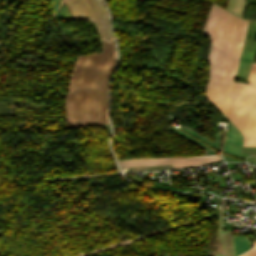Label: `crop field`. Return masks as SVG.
<instances>
[{"label": "crop field", "instance_id": "7", "mask_svg": "<svg viewBox=\"0 0 256 256\" xmlns=\"http://www.w3.org/2000/svg\"><path fill=\"white\" fill-rule=\"evenodd\" d=\"M240 256H256V244L252 250L240 255Z\"/></svg>", "mask_w": 256, "mask_h": 256}, {"label": "crop field", "instance_id": "1", "mask_svg": "<svg viewBox=\"0 0 256 256\" xmlns=\"http://www.w3.org/2000/svg\"><path fill=\"white\" fill-rule=\"evenodd\" d=\"M249 22L212 5L202 33L211 39L205 97L240 130L242 146H256V63L249 84L234 82Z\"/></svg>", "mask_w": 256, "mask_h": 256}, {"label": "crop field", "instance_id": "4", "mask_svg": "<svg viewBox=\"0 0 256 256\" xmlns=\"http://www.w3.org/2000/svg\"><path fill=\"white\" fill-rule=\"evenodd\" d=\"M120 167H134L173 163V168L204 165L221 161L219 155L190 156V157H148L117 160Z\"/></svg>", "mask_w": 256, "mask_h": 256}, {"label": "crop field", "instance_id": "5", "mask_svg": "<svg viewBox=\"0 0 256 256\" xmlns=\"http://www.w3.org/2000/svg\"><path fill=\"white\" fill-rule=\"evenodd\" d=\"M249 248H250V245L246 236L233 237V256H237L249 250Z\"/></svg>", "mask_w": 256, "mask_h": 256}, {"label": "crop field", "instance_id": "2", "mask_svg": "<svg viewBox=\"0 0 256 256\" xmlns=\"http://www.w3.org/2000/svg\"><path fill=\"white\" fill-rule=\"evenodd\" d=\"M102 43L104 53L80 56L73 68L65 102L68 126L108 123L107 81L116 51L114 45Z\"/></svg>", "mask_w": 256, "mask_h": 256}, {"label": "crop field", "instance_id": "6", "mask_svg": "<svg viewBox=\"0 0 256 256\" xmlns=\"http://www.w3.org/2000/svg\"><path fill=\"white\" fill-rule=\"evenodd\" d=\"M245 0H228L227 9L241 17ZM233 13V14H234Z\"/></svg>", "mask_w": 256, "mask_h": 256}, {"label": "crop field", "instance_id": "8", "mask_svg": "<svg viewBox=\"0 0 256 256\" xmlns=\"http://www.w3.org/2000/svg\"><path fill=\"white\" fill-rule=\"evenodd\" d=\"M215 256H217V255H215Z\"/></svg>", "mask_w": 256, "mask_h": 256}, {"label": "crop field", "instance_id": "3", "mask_svg": "<svg viewBox=\"0 0 256 256\" xmlns=\"http://www.w3.org/2000/svg\"><path fill=\"white\" fill-rule=\"evenodd\" d=\"M64 2L72 19L94 21L98 27L100 37L114 43L101 0H64Z\"/></svg>", "mask_w": 256, "mask_h": 256}]
</instances>
